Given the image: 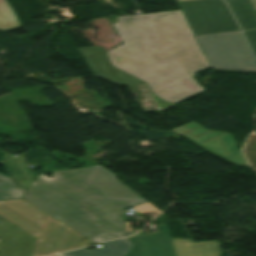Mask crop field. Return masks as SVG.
<instances>
[{"instance_id":"obj_15","label":"crop field","mask_w":256,"mask_h":256,"mask_svg":"<svg viewBox=\"0 0 256 256\" xmlns=\"http://www.w3.org/2000/svg\"><path fill=\"white\" fill-rule=\"evenodd\" d=\"M244 151L251 165L256 169V134L250 136Z\"/></svg>"},{"instance_id":"obj_5","label":"crop field","mask_w":256,"mask_h":256,"mask_svg":"<svg viewBox=\"0 0 256 256\" xmlns=\"http://www.w3.org/2000/svg\"><path fill=\"white\" fill-rule=\"evenodd\" d=\"M178 5L195 35L239 30L221 0H193Z\"/></svg>"},{"instance_id":"obj_14","label":"crop field","mask_w":256,"mask_h":256,"mask_svg":"<svg viewBox=\"0 0 256 256\" xmlns=\"http://www.w3.org/2000/svg\"><path fill=\"white\" fill-rule=\"evenodd\" d=\"M132 92H137L139 96H136V99L139 101L144 110L156 108L147 88L144 84L129 86ZM142 108V109H143Z\"/></svg>"},{"instance_id":"obj_6","label":"crop field","mask_w":256,"mask_h":256,"mask_svg":"<svg viewBox=\"0 0 256 256\" xmlns=\"http://www.w3.org/2000/svg\"><path fill=\"white\" fill-rule=\"evenodd\" d=\"M172 131L193 140L197 144L225 157L231 162L247 165L231 133L205 130L195 122H191Z\"/></svg>"},{"instance_id":"obj_12","label":"crop field","mask_w":256,"mask_h":256,"mask_svg":"<svg viewBox=\"0 0 256 256\" xmlns=\"http://www.w3.org/2000/svg\"><path fill=\"white\" fill-rule=\"evenodd\" d=\"M231 6L242 29L256 28L254 8L249 0H226Z\"/></svg>"},{"instance_id":"obj_16","label":"crop field","mask_w":256,"mask_h":256,"mask_svg":"<svg viewBox=\"0 0 256 256\" xmlns=\"http://www.w3.org/2000/svg\"><path fill=\"white\" fill-rule=\"evenodd\" d=\"M243 31L256 55V29H249V30H243Z\"/></svg>"},{"instance_id":"obj_10","label":"crop field","mask_w":256,"mask_h":256,"mask_svg":"<svg viewBox=\"0 0 256 256\" xmlns=\"http://www.w3.org/2000/svg\"><path fill=\"white\" fill-rule=\"evenodd\" d=\"M171 239L177 256H220L218 241L194 243L190 239Z\"/></svg>"},{"instance_id":"obj_13","label":"crop field","mask_w":256,"mask_h":256,"mask_svg":"<svg viewBox=\"0 0 256 256\" xmlns=\"http://www.w3.org/2000/svg\"><path fill=\"white\" fill-rule=\"evenodd\" d=\"M12 11L5 0H0V31L6 32L21 26Z\"/></svg>"},{"instance_id":"obj_8","label":"crop field","mask_w":256,"mask_h":256,"mask_svg":"<svg viewBox=\"0 0 256 256\" xmlns=\"http://www.w3.org/2000/svg\"><path fill=\"white\" fill-rule=\"evenodd\" d=\"M35 240L0 217V256H31Z\"/></svg>"},{"instance_id":"obj_17","label":"crop field","mask_w":256,"mask_h":256,"mask_svg":"<svg viewBox=\"0 0 256 256\" xmlns=\"http://www.w3.org/2000/svg\"><path fill=\"white\" fill-rule=\"evenodd\" d=\"M250 1L252 2L253 6H254V8L256 10V0H250Z\"/></svg>"},{"instance_id":"obj_18","label":"crop field","mask_w":256,"mask_h":256,"mask_svg":"<svg viewBox=\"0 0 256 256\" xmlns=\"http://www.w3.org/2000/svg\"><path fill=\"white\" fill-rule=\"evenodd\" d=\"M177 2H180V1H186V0H176Z\"/></svg>"},{"instance_id":"obj_2","label":"crop field","mask_w":256,"mask_h":256,"mask_svg":"<svg viewBox=\"0 0 256 256\" xmlns=\"http://www.w3.org/2000/svg\"><path fill=\"white\" fill-rule=\"evenodd\" d=\"M37 175L23 200L93 242L124 237V210L147 202L101 166Z\"/></svg>"},{"instance_id":"obj_3","label":"crop field","mask_w":256,"mask_h":256,"mask_svg":"<svg viewBox=\"0 0 256 256\" xmlns=\"http://www.w3.org/2000/svg\"><path fill=\"white\" fill-rule=\"evenodd\" d=\"M25 191L0 173V216L37 238L32 256L78 248L84 236L22 201Z\"/></svg>"},{"instance_id":"obj_7","label":"crop field","mask_w":256,"mask_h":256,"mask_svg":"<svg viewBox=\"0 0 256 256\" xmlns=\"http://www.w3.org/2000/svg\"><path fill=\"white\" fill-rule=\"evenodd\" d=\"M89 69L95 77L106 80L112 84L133 85L140 84L142 81L114 68L103 48L90 47L79 49Z\"/></svg>"},{"instance_id":"obj_19","label":"crop field","mask_w":256,"mask_h":256,"mask_svg":"<svg viewBox=\"0 0 256 256\" xmlns=\"http://www.w3.org/2000/svg\"><path fill=\"white\" fill-rule=\"evenodd\" d=\"M55 256H58V255H55Z\"/></svg>"},{"instance_id":"obj_11","label":"crop field","mask_w":256,"mask_h":256,"mask_svg":"<svg viewBox=\"0 0 256 256\" xmlns=\"http://www.w3.org/2000/svg\"><path fill=\"white\" fill-rule=\"evenodd\" d=\"M102 248L88 251L86 248L64 253V256H126L134 246L128 238L119 239L103 244Z\"/></svg>"},{"instance_id":"obj_9","label":"crop field","mask_w":256,"mask_h":256,"mask_svg":"<svg viewBox=\"0 0 256 256\" xmlns=\"http://www.w3.org/2000/svg\"><path fill=\"white\" fill-rule=\"evenodd\" d=\"M160 233L129 237L135 245L127 256H176L166 224H160Z\"/></svg>"},{"instance_id":"obj_1","label":"crop field","mask_w":256,"mask_h":256,"mask_svg":"<svg viewBox=\"0 0 256 256\" xmlns=\"http://www.w3.org/2000/svg\"><path fill=\"white\" fill-rule=\"evenodd\" d=\"M118 19L113 26L124 44L107 52L114 67L170 103L204 90L192 76L210 65L181 11Z\"/></svg>"},{"instance_id":"obj_4","label":"crop field","mask_w":256,"mask_h":256,"mask_svg":"<svg viewBox=\"0 0 256 256\" xmlns=\"http://www.w3.org/2000/svg\"><path fill=\"white\" fill-rule=\"evenodd\" d=\"M196 38L212 68L256 72V63L240 31Z\"/></svg>"}]
</instances>
